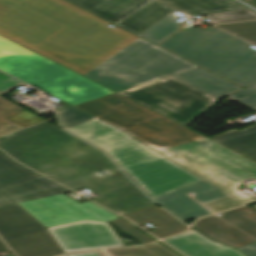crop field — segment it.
Returning <instances> with one entry per match:
<instances>
[{"mask_svg":"<svg viewBox=\"0 0 256 256\" xmlns=\"http://www.w3.org/2000/svg\"><path fill=\"white\" fill-rule=\"evenodd\" d=\"M0 148L20 163L122 215L153 204L99 150L45 122L3 137Z\"/></svg>","mask_w":256,"mask_h":256,"instance_id":"crop-field-1","label":"crop field"},{"mask_svg":"<svg viewBox=\"0 0 256 256\" xmlns=\"http://www.w3.org/2000/svg\"><path fill=\"white\" fill-rule=\"evenodd\" d=\"M62 0H31L0 21V34L82 75L137 36Z\"/></svg>","mask_w":256,"mask_h":256,"instance_id":"crop-field-2","label":"crop field"},{"mask_svg":"<svg viewBox=\"0 0 256 256\" xmlns=\"http://www.w3.org/2000/svg\"><path fill=\"white\" fill-rule=\"evenodd\" d=\"M56 111L65 130L103 149L150 198L202 180L149 146L71 105Z\"/></svg>","mask_w":256,"mask_h":256,"instance_id":"crop-field-3","label":"crop field"},{"mask_svg":"<svg viewBox=\"0 0 256 256\" xmlns=\"http://www.w3.org/2000/svg\"><path fill=\"white\" fill-rule=\"evenodd\" d=\"M122 131L245 203L256 199L236 188L256 179V162L209 139L178 144L136 122Z\"/></svg>","mask_w":256,"mask_h":256,"instance_id":"crop-field-4","label":"crop field"},{"mask_svg":"<svg viewBox=\"0 0 256 256\" xmlns=\"http://www.w3.org/2000/svg\"><path fill=\"white\" fill-rule=\"evenodd\" d=\"M67 189L17 165L0 151V207L17 202L46 227L80 220L110 221L118 216L87 201L76 202Z\"/></svg>","mask_w":256,"mask_h":256,"instance_id":"crop-field-5","label":"crop field"},{"mask_svg":"<svg viewBox=\"0 0 256 256\" xmlns=\"http://www.w3.org/2000/svg\"><path fill=\"white\" fill-rule=\"evenodd\" d=\"M158 46L242 87L256 82V50L212 26L179 31Z\"/></svg>","mask_w":256,"mask_h":256,"instance_id":"crop-field-6","label":"crop field"},{"mask_svg":"<svg viewBox=\"0 0 256 256\" xmlns=\"http://www.w3.org/2000/svg\"><path fill=\"white\" fill-rule=\"evenodd\" d=\"M0 70L72 105L113 93L1 36Z\"/></svg>","mask_w":256,"mask_h":256,"instance_id":"crop-field-7","label":"crop field"},{"mask_svg":"<svg viewBox=\"0 0 256 256\" xmlns=\"http://www.w3.org/2000/svg\"><path fill=\"white\" fill-rule=\"evenodd\" d=\"M194 67L139 38L84 76L121 91Z\"/></svg>","mask_w":256,"mask_h":256,"instance_id":"crop-field-8","label":"crop field"},{"mask_svg":"<svg viewBox=\"0 0 256 256\" xmlns=\"http://www.w3.org/2000/svg\"><path fill=\"white\" fill-rule=\"evenodd\" d=\"M119 93L185 126L219 101L171 76Z\"/></svg>","mask_w":256,"mask_h":256,"instance_id":"crop-field-9","label":"crop field"},{"mask_svg":"<svg viewBox=\"0 0 256 256\" xmlns=\"http://www.w3.org/2000/svg\"><path fill=\"white\" fill-rule=\"evenodd\" d=\"M121 129L136 121L182 144L206 138L119 94L75 106Z\"/></svg>","mask_w":256,"mask_h":256,"instance_id":"crop-field-10","label":"crop field"},{"mask_svg":"<svg viewBox=\"0 0 256 256\" xmlns=\"http://www.w3.org/2000/svg\"><path fill=\"white\" fill-rule=\"evenodd\" d=\"M0 236L17 256L64 253L47 228L17 203L0 208Z\"/></svg>","mask_w":256,"mask_h":256,"instance_id":"crop-field-11","label":"crop field"},{"mask_svg":"<svg viewBox=\"0 0 256 256\" xmlns=\"http://www.w3.org/2000/svg\"><path fill=\"white\" fill-rule=\"evenodd\" d=\"M189 192L194 194V199L201 202L213 213L244 204L205 180L158 196L153 200L184 222L210 214L185 195Z\"/></svg>","mask_w":256,"mask_h":256,"instance_id":"crop-field-12","label":"crop field"},{"mask_svg":"<svg viewBox=\"0 0 256 256\" xmlns=\"http://www.w3.org/2000/svg\"><path fill=\"white\" fill-rule=\"evenodd\" d=\"M48 230L65 253L123 246L107 222L80 221Z\"/></svg>","mask_w":256,"mask_h":256,"instance_id":"crop-field-13","label":"crop field"},{"mask_svg":"<svg viewBox=\"0 0 256 256\" xmlns=\"http://www.w3.org/2000/svg\"><path fill=\"white\" fill-rule=\"evenodd\" d=\"M164 241L187 256H245L233 248L209 241L194 230Z\"/></svg>","mask_w":256,"mask_h":256,"instance_id":"crop-field-14","label":"crop field"},{"mask_svg":"<svg viewBox=\"0 0 256 256\" xmlns=\"http://www.w3.org/2000/svg\"><path fill=\"white\" fill-rule=\"evenodd\" d=\"M192 228L210 240H214L234 248L256 242L253 238L214 215L195 222Z\"/></svg>","mask_w":256,"mask_h":256,"instance_id":"crop-field-15","label":"crop field"},{"mask_svg":"<svg viewBox=\"0 0 256 256\" xmlns=\"http://www.w3.org/2000/svg\"><path fill=\"white\" fill-rule=\"evenodd\" d=\"M172 76L216 99L242 89L200 67Z\"/></svg>","mask_w":256,"mask_h":256,"instance_id":"crop-field-16","label":"crop field"},{"mask_svg":"<svg viewBox=\"0 0 256 256\" xmlns=\"http://www.w3.org/2000/svg\"><path fill=\"white\" fill-rule=\"evenodd\" d=\"M112 24L148 0H65Z\"/></svg>","mask_w":256,"mask_h":256,"instance_id":"crop-field-17","label":"crop field"},{"mask_svg":"<svg viewBox=\"0 0 256 256\" xmlns=\"http://www.w3.org/2000/svg\"><path fill=\"white\" fill-rule=\"evenodd\" d=\"M125 216L139 225L147 222L153 225H158L159 229L150 232L160 239L187 229V227H185L182 223L171 217L161 208L154 205Z\"/></svg>","mask_w":256,"mask_h":256,"instance_id":"crop-field-18","label":"crop field"},{"mask_svg":"<svg viewBox=\"0 0 256 256\" xmlns=\"http://www.w3.org/2000/svg\"><path fill=\"white\" fill-rule=\"evenodd\" d=\"M173 9L174 8H171L156 0H151L115 25L138 35L170 13Z\"/></svg>","mask_w":256,"mask_h":256,"instance_id":"crop-field-19","label":"crop field"},{"mask_svg":"<svg viewBox=\"0 0 256 256\" xmlns=\"http://www.w3.org/2000/svg\"><path fill=\"white\" fill-rule=\"evenodd\" d=\"M178 10L190 15L210 14L238 9L245 7L231 0H159Z\"/></svg>","mask_w":256,"mask_h":256,"instance_id":"crop-field-20","label":"crop field"},{"mask_svg":"<svg viewBox=\"0 0 256 256\" xmlns=\"http://www.w3.org/2000/svg\"><path fill=\"white\" fill-rule=\"evenodd\" d=\"M211 139L256 160V126L242 131L233 129Z\"/></svg>","mask_w":256,"mask_h":256,"instance_id":"crop-field-21","label":"crop field"},{"mask_svg":"<svg viewBox=\"0 0 256 256\" xmlns=\"http://www.w3.org/2000/svg\"><path fill=\"white\" fill-rule=\"evenodd\" d=\"M178 10L172 11L170 14L165 16L163 19L155 23L153 26L141 33L140 37L154 43L159 44L161 41L166 39L168 36L180 29L178 23L174 22L180 16L174 14Z\"/></svg>","mask_w":256,"mask_h":256,"instance_id":"crop-field-22","label":"crop field"},{"mask_svg":"<svg viewBox=\"0 0 256 256\" xmlns=\"http://www.w3.org/2000/svg\"><path fill=\"white\" fill-rule=\"evenodd\" d=\"M220 216L236 227L242 229L256 238V211L245 206L230 211L222 212Z\"/></svg>","mask_w":256,"mask_h":256,"instance_id":"crop-field-23","label":"crop field"},{"mask_svg":"<svg viewBox=\"0 0 256 256\" xmlns=\"http://www.w3.org/2000/svg\"><path fill=\"white\" fill-rule=\"evenodd\" d=\"M108 256H177L157 242L142 246L105 250Z\"/></svg>","mask_w":256,"mask_h":256,"instance_id":"crop-field-24","label":"crop field"},{"mask_svg":"<svg viewBox=\"0 0 256 256\" xmlns=\"http://www.w3.org/2000/svg\"><path fill=\"white\" fill-rule=\"evenodd\" d=\"M22 110V107L0 97V136L22 129L6 119Z\"/></svg>","mask_w":256,"mask_h":256,"instance_id":"crop-field-25","label":"crop field"},{"mask_svg":"<svg viewBox=\"0 0 256 256\" xmlns=\"http://www.w3.org/2000/svg\"><path fill=\"white\" fill-rule=\"evenodd\" d=\"M215 26L256 45V21L220 24Z\"/></svg>","mask_w":256,"mask_h":256,"instance_id":"crop-field-26","label":"crop field"},{"mask_svg":"<svg viewBox=\"0 0 256 256\" xmlns=\"http://www.w3.org/2000/svg\"><path fill=\"white\" fill-rule=\"evenodd\" d=\"M206 19L210 20L211 23L256 19V13L249 9H245V10L210 14Z\"/></svg>","mask_w":256,"mask_h":256,"instance_id":"crop-field-27","label":"crop field"},{"mask_svg":"<svg viewBox=\"0 0 256 256\" xmlns=\"http://www.w3.org/2000/svg\"><path fill=\"white\" fill-rule=\"evenodd\" d=\"M108 223L112 224L113 226H115L119 230L123 231L130 237L134 238L141 244L155 241L153 238L149 237L148 235H146L145 233H143L142 231L135 228L134 226H132L131 224H129L128 222L124 221L121 218L110 221Z\"/></svg>","mask_w":256,"mask_h":256,"instance_id":"crop-field-28","label":"crop field"},{"mask_svg":"<svg viewBox=\"0 0 256 256\" xmlns=\"http://www.w3.org/2000/svg\"><path fill=\"white\" fill-rule=\"evenodd\" d=\"M229 96L256 110V83Z\"/></svg>","mask_w":256,"mask_h":256,"instance_id":"crop-field-29","label":"crop field"},{"mask_svg":"<svg viewBox=\"0 0 256 256\" xmlns=\"http://www.w3.org/2000/svg\"><path fill=\"white\" fill-rule=\"evenodd\" d=\"M8 119L23 128L28 127L33 124H36V123H39L41 121H44L43 119L37 117L36 115H34L26 110L8 118Z\"/></svg>","mask_w":256,"mask_h":256,"instance_id":"crop-field-30","label":"crop field"},{"mask_svg":"<svg viewBox=\"0 0 256 256\" xmlns=\"http://www.w3.org/2000/svg\"><path fill=\"white\" fill-rule=\"evenodd\" d=\"M30 0H0V20Z\"/></svg>","mask_w":256,"mask_h":256,"instance_id":"crop-field-31","label":"crop field"},{"mask_svg":"<svg viewBox=\"0 0 256 256\" xmlns=\"http://www.w3.org/2000/svg\"><path fill=\"white\" fill-rule=\"evenodd\" d=\"M20 84H22V82L0 72V96Z\"/></svg>","mask_w":256,"mask_h":256,"instance_id":"crop-field-32","label":"crop field"},{"mask_svg":"<svg viewBox=\"0 0 256 256\" xmlns=\"http://www.w3.org/2000/svg\"><path fill=\"white\" fill-rule=\"evenodd\" d=\"M238 249L247 256H256V243Z\"/></svg>","mask_w":256,"mask_h":256,"instance_id":"crop-field-33","label":"crop field"},{"mask_svg":"<svg viewBox=\"0 0 256 256\" xmlns=\"http://www.w3.org/2000/svg\"><path fill=\"white\" fill-rule=\"evenodd\" d=\"M68 256H105L102 251H92L83 253L68 254Z\"/></svg>","mask_w":256,"mask_h":256,"instance_id":"crop-field-34","label":"crop field"},{"mask_svg":"<svg viewBox=\"0 0 256 256\" xmlns=\"http://www.w3.org/2000/svg\"><path fill=\"white\" fill-rule=\"evenodd\" d=\"M249 4H251L252 6L256 7V0H243Z\"/></svg>","mask_w":256,"mask_h":256,"instance_id":"crop-field-35","label":"crop field"},{"mask_svg":"<svg viewBox=\"0 0 256 256\" xmlns=\"http://www.w3.org/2000/svg\"><path fill=\"white\" fill-rule=\"evenodd\" d=\"M159 242H160L161 244H163L164 246H166L167 248H169L170 250H172V251H174L175 253H177L178 255L183 256V255H181L179 252H177L176 250H174L173 248L169 247L168 245L162 243L161 241H159Z\"/></svg>","mask_w":256,"mask_h":256,"instance_id":"crop-field-36","label":"crop field"},{"mask_svg":"<svg viewBox=\"0 0 256 256\" xmlns=\"http://www.w3.org/2000/svg\"><path fill=\"white\" fill-rule=\"evenodd\" d=\"M5 249H7L5 246H4V244L0 241V250H5Z\"/></svg>","mask_w":256,"mask_h":256,"instance_id":"crop-field-37","label":"crop field"},{"mask_svg":"<svg viewBox=\"0 0 256 256\" xmlns=\"http://www.w3.org/2000/svg\"><path fill=\"white\" fill-rule=\"evenodd\" d=\"M252 207L256 209V205H255V206H252Z\"/></svg>","mask_w":256,"mask_h":256,"instance_id":"crop-field-38","label":"crop field"},{"mask_svg":"<svg viewBox=\"0 0 256 256\" xmlns=\"http://www.w3.org/2000/svg\"><path fill=\"white\" fill-rule=\"evenodd\" d=\"M66 256V255H65Z\"/></svg>","mask_w":256,"mask_h":256,"instance_id":"crop-field-39","label":"crop field"}]
</instances>
